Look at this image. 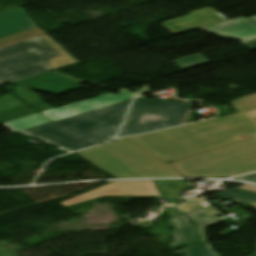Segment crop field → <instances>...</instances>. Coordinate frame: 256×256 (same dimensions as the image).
Instances as JSON below:
<instances>
[{"label":"crop field","instance_id":"92a150f3","mask_svg":"<svg viewBox=\"0 0 256 256\" xmlns=\"http://www.w3.org/2000/svg\"><path fill=\"white\" fill-rule=\"evenodd\" d=\"M13 95H15L16 97H18L19 99L23 100L26 103L42 99L33 91L27 90L24 88H19V87L14 88Z\"/></svg>","mask_w":256,"mask_h":256},{"label":"crop field","instance_id":"4a817a6b","mask_svg":"<svg viewBox=\"0 0 256 256\" xmlns=\"http://www.w3.org/2000/svg\"><path fill=\"white\" fill-rule=\"evenodd\" d=\"M186 256H220L216 251L212 250L208 242H202L191 246Z\"/></svg>","mask_w":256,"mask_h":256},{"label":"crop field","instance_id":"cbeb9de0","mask_svg":"<svg viewBox=\"0 0 256 256\" xmlns=\"http://www.w3.org/2000/svg\"><path fill=\"white\" fill-rule=\"evenodd\" d=\"M215 196L221 199H230L238 205L247 204L252 201H256V193L246 190L233 188L225 192L216 194Z\"/></svg>","mask_w":256,"mask_h":256},{"label":"crop field","instance_id":"d9b57169","mask_svg":"<svg viewBox=\"0 0 256 256\" xmlns=\"http://www.w3.org/2000/svg\"><path fill=\"white\" fill-rule=\"evenodd\" d=\"M44 34L45 32L40 30L37 27L31 30L20 32L18 34H14V35L0 39V48L9 46L18 42H22L28 39L40 37Z\"/></svg>","mask_w":256,"mask_h":256},{"label":"crop field","instance_id":"8a807250","mask_svg":"<svg viewBox=\"0 0 256 256\" xmlns=\"http://www.w3.org/2000/svg\"><path fill=\"white\" fill-rule=\"evenodd\" d=\"M228 104L240 113L129 139L170 163L256 136V94Z\"/></svg>","mask_w":256,"mask_h":256},{"label":"crop field","instance_id":"ac0d7876","mask_svg":"<svg viewBox=\"0 0 256 256\" xmlns=\"http://www.w3.org/2000/svg\"><path fill=\"white\" fill-rule=\"evenodd\" d=\"M131 100L20 131L67 153L112 140Z\"/></svg>","mask_w":256,"mask_h":256},{"label":"crop field","instance_id":"00972430","mask_svg":"<svg viewBox=\"0 0 256 256\" xmlns=\"http://www.w3.org/2000/svg\"><path fill=\"white\" fill-rule=\"evenodd\" d=\"M237 188L246 189V190H250V191H255L256 192V186H254V185H245V186H241V187H237ZM249 204L254 209H256V202H252V203H249Z\"/></svg>","mask_w":256,"mask_h":256},{"label":"crop field","instance_id":"34b2d1b8","mask_svg":"<svg viewBox=\"0 0 256 256\" xmlns=\"http://www.w3.org/2000/svg\"><path fill=\"white\" fill-rule=\"evenodd\" d=\"M78 154L117 178L180 175L172 164L163 163L126 138L84 150Z\"/></svg>","mask_w":256,"mask_h":256},{"label":"crop field","instance_id":"bc2a9ffb","mask_svg":"<svg viewBox=\"0 0 256 256\" xmlns=\"http://www.w3.org/2000/svg\"><path fill=\"white\" fill-rule=\"evenodd\" d=\"M45 37L54 45V47H56L58 50H60L61 52H63L65 55L59 56V57H55L50 59L51 63H49L48 65L55 68H59V67H63L67 64L70 63H74L76 62L75 60H73L68 54H66L52 39H50L48 36L45 35Z\"/></svg>","mask_w":256,"mask_h":256},{"label":"crop field","instance_id":"d1516ede","mask_svg":"<svg viewBox=\"0 0 256 256\" xmlns=\"http://www.w3.org/2000/svg\"><path fill=\"white\" fill-rule=\"evenodd\" d=\"M36 27L22 8L0 15V38Z\"/></svg>","mask_w":256,"mask_h":256},{"label":"crop field","instance_id":"730fd06b","mask_svg":"<svg viewBox=\"0 0 256 256\" xmlns=\"http://www.w3.org/2000/svg\"><path fill=\"white\" fill-rule=\"evenodd\" d=\"M250 256H256V253H255V254H252V255H250Z\"/></svg>","mask_w":256,"mask_h":256},{"label":"crop field","instance_id":"5a996713","mask_svg":"<svg viewBox=\"0 0 256 256\" xmlns=\"http://www.w3.org/2000/svg\"><path fill=\"white\" fill-rule=\"evenodd\" d=\"M227 21L211 8L191 12L188 16L178 18L163 24V27L175 35Z\"/></svg>","mask_w":256,"mask_h":256},{"label":"crop field","instance_id":"dafd665d","mask_svg":"<svg viewBox=\"0 0 256 256\" xmlns=\"http://www.w3.org/2000/svg\"><path fill=\"white\" fill-rule=\"evenodd\" d=\"M240 44H242L243 46H245L246 48H248L250 50H255L256 49V38L246 41V42H243V43H240Z\"/></svg>","mask_w":256,"mask_h":256},{"label":"crop field","instance_id":"4177f3b9","mask_svg":"<svg viewBox=\"0 0 256 256\" xmlns=\"http://www.w3.org/2000/svg\"><path fill=\"white\" fill-rule=\"evenodd\" d=\"M145 93H149L148 85L142 89V91H139L137 95H143Z\"/></svg>","mask_w":256,"mask_h":256},{"label":"crop field","instance_id":"d8731c3e","mask_svg":"<svg viewBox=\"0 0 256 256\" xmlns=\"http://www.w3.org/2000/svg\"><path fill=\"white\" fill-rule=\"evenodd\" d=\"M79 82L81 81L50 72L16 81L13 84L27 89L58 94L82 87L78 84Z\"/></svg>","mask_w":256,"mask_h":256},{"label":"crop field","instance_id":"3316defc","mask_svg":"<svg viewBox=\"0 0 256 256\" xmlns=\"http://www.w3.org/2000/svg\"><path fill=\"white\" fill-rule=\"evenodd\" d=\"M201 29L217 36L233 37L243 42L256 37V16L248 19L241 17Z\"/></svg>","mask_w":256,"mask_h":256},{"label":"crop field","instance_id":"214f88e0","mask_svg":"<svg viewBox=\"0 0 256 256\" xmlns=\"http://www.w3.org/2000/svg\"><path fill=\"white\" fill-rule=\"evenodd\" d=\"M13 85L8 84L7 94L0 97V111L24 105L21 101L11 95Z\"/></svg>","mask_w":256,"mask_h":256},{"label":"crop field","instance_id":"f4fd0767","mask_svg":"<svg viewBox=\"0 0 256 256\" xmlns=\"http://www.w3.org/2000/svg\"><path fill=\"white\" fill-rule=\"evenodd\" d=\"M40 37L0 49V79L8 83L50 72L49 59L62 55Z\"/></svg>","mask_w":256,"mask_h":256},{"label":"crop field","instance_id":"dd49c442","mask_svg":"<svg viewBox=\"0 0 256 256\" xmlns=\"http://www.w3.org/2000/svg\"><path fill=\"white\" fill-rule=\"evenodd\" d=\"M193 105L135 98L118 137L184 124Z\"/></svg>","mask_w":256,"mask_h":256},{"label":"crop field","instance_id":"412701ff","mask_svg":"<svg viewBox=\"0 0 256 256\" xmlns=\"http://www.w3.org/2000/svg\"><path fill=\"white\" fill-rule=\"evenodd\" d=\"M185 177L228 178L256 171V138L173 163Z\"/></svg>","mask_w":256,"mask_h":256},{"label":"crop field","instance_id":"e52e79f7","mask_svg":"<svg viewBox=\"0 0 256 256\" xmlns=\"http://www.w3.org/2000/svg\"><path fill=\"white\" fill-rule=\"evenodd\" d=\"M136 93H129L127 89L120 90L118 95L106 93L82 102L70 104L67 106L55 108L45 112H41L42 116L51 122L131 99Z\"/></svg>","mask_w":256,"mask_h":256},{"label":"crop field","instance_id":"a9b5d70f","mask_svg":"<svg viewBox=\"0 0 256 256\" xmlns=\"http://www.w3.org/2000/svg\"><path fill=\"white\" fill-rule=\"evenodd\" d=\"M237 179L256 182V174H252V175H247V176L239 177V178H237Z\"/></svg>","mask_w":256,"mask_h":256},{"label":"crop field","instance_id":"5142ce71","mask_svg":"<svg viewBox=\"0 0 256 256\" xmlns=\"http://www.w3.org/2000/svg\"><path fill=\"white\" fill-rule=\"evenodd\" d=\"M47 119V118H46ZM41 115H33L26 118L14 120L11 122L4 123L5 126H7L9 129H11L14 132H18L20 130L36 127L45 123H49L48 120H46Z\"/></svg>","mask_w":256,"mask_h":256},{"label":"crop field","instance_id":"22f410ed","mask_svg":"<svg viewBox=\"0 0 256 256\" xmlns=\"http://www.w3.org/2000/svg\"><path fill=\"white\" fill-rule=\"evenodd\" d=\"M185 215H187L188 218H190L194 223V225L196 226L201 242L207 240L204 228L226 221V219L223 217L216 218V219L211 218L215 215H218V213L215 211V209L212 206L206 209L194 211Z\"/></svg>","mask_w":256,"mask_h":256},{"label":"crop field","instance_id":"28ad6ade","mask_svg":"<svg viewBox=\"0 0 256 256\" xmlns=\"http://www.w3.org/2000/svg\"><path fill=\"white\" fill-rule=\"evenodd\" d=\"M167 220L170 227H175V230H171L175 241L172 243H168L167 246H169L173 251L177 248L189 244V246L183 248L181 251H173L175 254L186 255L187 251L191 246L190 244L194 241H198L194 227L190 223H188L187 218L183 215ZM172 224H175V226H173ZM171 244L174 246L171 247Z\"/></svg>","mask_w":256,"mask_h":256},{"label":"crop field","instance_id":"eef30255","mask_svg":"<svg viewBox=\"0 0 256 256\" xmlns=\"http://www.w3.org/2000/svg\"><path fill=\"white\" fill-rule=\"evenodd\" d=\"M2 83H5V82H3V81L0 80V84H2Z\"/></svg>","mask_w":256,"mask_h":256},{"label":"crop field","instance_id":"733c2abd","mask_svg":"<svg viewBox=\"0 0 256 256\" xmlns=\"http://www.w3.org/2000/svg\"><path fill=\"white\" fill-rule=\"evenodd\" d=\"M173 63L176 64L182 70H187V69L209 64L210 62L207 61L201 54H199V55H196L184 60L176 61Z\"/></svg>","mask_w":256,"mask_h":256}]
</instances>
